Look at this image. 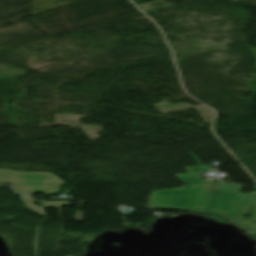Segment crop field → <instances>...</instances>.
<instances>
[{
    "instance_id": "obj_4",
    "label": "crop field",
    "mask_w": 256,
    "mask_h": 256,
    "mask_svg": "<svg viewBox=\"0 0 256 256\" xmlns=\"http://www.w3.org/2000/svg\"><path fill=\"white\" fill-rule=\"evenodd\" d=\"M21 201L24 203L25 207L32 211L33 213L43 216L42 207L35 206L31 202H36L34 198L31 197H19Z\"/></svg>"
},
{
    "instance_id": "obj_2",
    "label": "crop field",
    "mask_w": 256,
    "mask_h": 256,
    "mask_svg": "<svg viewBox=\"0 0 256 256\" xmlns=\"http://www.w3.org/2000/svg\"><path fill=\"white\" fill-rule=\"evenodd\" d=\"M11 184L21 195L55 192L62 182L52 173L16 172L0 168V184Z\"/></svg>"
},
{
    "instance_id": "obj_1",
    "label": "crop field",
    "mask_w": 256,
    "mask_h": 256,
    "mask_svg": "<svg viewBox=\"0 0 256 256\" xmlns=\"http://www.w3.org/2000/svg\"><path fill=\"white\" fill-rule=\"evenodd\" d=\"M209 169L210 165L186 168L187 174L175 175L184 187L152 191L147 207L205 212L232 220L247 194H240V186L206 183L198 173Z\"/></svg>"
},
{
    "instance_id": "obj_3",
    "label": "crop field",
    "mask_w": 256,
    "mask_h": 256,
    "mask_svg": "<svg viewBox=\"0 0 256 256\" xmlns=\"http://www.w3.org/2000/svg\"><path fill=\"white\" fill-rule=\"evenodd\" d=\"M246 213L251 215L250 219L243 218ZM232 221L249 231H256V191L248 195Z\"/></svg>"
},
{
    "instance_id": "obj_5",
    "label": "crop field",
    "mask_w": 256,
    "mask_h": 256,
    "mask_svg": "<svg viewBox=\"0 0 256 256\" xmlns=\"http://www.w3.org/2000/svg\"><path fill=\"white\" fill-rule=\"evenodd\" d=\"M46 207H62L66 206V202H45Z\"/></svg>"
}]
</instances>
